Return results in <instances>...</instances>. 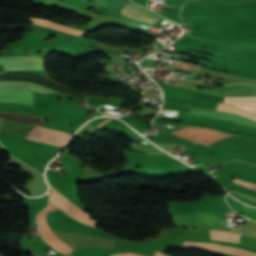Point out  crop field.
Returning a JSON list of instances; mask_svg holds the SVG:
<instances>
[{"mask_svg":"<svg viewBox=\"0 0 256 256\" xmlns=\"http://www.w3.org/2000/svg\"><path fill=\"white\" fill-rule=\"evenodd\" d=\"M233 183H236V184H239V185H242V186H245L247 188H250V189H253V190H256V185L252 184V183H248V182H244V181H240L238 179H234Z\"/></svg>","mask_w":256,"mask_h":256,"instance_id":"14","label":"crop field"},{"mask_svg":"<svg viewBox=\"0 0 256 256\" xmlns=\"http://www.w3.org/2000/svg\"><path fill=\"white\" fill-rule=\"evenodd\" d=\"M120 13H122L130 18L142 20V21L149 22L152 24L160 19L144 9L131 7V6H127V5L123 8V10Z\"/></svg>","mask_w":256,"mask_h":256,"instance_id":"9","label":"crop field"},{"mask_svg":"<svg viewBox=\"0 0 256 256\" xmlns=\"http://www.w3.org/2000/svg\"><path fill=\"white\" fill-rule=\"evenodd\" d=\"M29 19L31 20V22L33 24L46 26V27L53 28V29H56V30H60V31L70 33V34L79 35V34L84 32V31H81V30H78V29H75V28H72V27H69V26H66V25L58 24V23H55V22H52V21H49V20H42V19H39V18H29Z\"/></svg>","mask_w":256,"mask_h":256,"instance_id":"10","label":"crop field"},{"mask_svg":"<svg viewBox=\"0 0 256 256\" xmlns=\"http://www.w3.org/2000/svg\"><path fill=\"white\" fill-rule=\"evenodd\" d=\"M174 133L187 136L208 144H211L221 138L230 136V135L222 134L220 132L213 131V130L191 128V127H186Z\"/></svg>","mask_w":256,"mask_h":256,"instance_id":"7","label":"crop field"},{"mask_svg":"<svg viewBox=\"0 0 256 256\" xmlns=\"http://www.w3.org/2000/svg\"><path fill=\"white\" fill-rule=\"evenodd\" d=\"M108 119H109V118H108ZM108 119H106L105 121H107ZM105 121H103L101 124H103ZM101 124H99L98 126H100ZM98 126H97V127H98Z\"/></svg>","mask_w":256,"mask_h":256,"instance_id":"16","label":"crop field"},{"mask_svg":"<svg viewBox=\"0 0 256 256\" xmlns=\"http://www.w3.org/2000/svg\"><path fill=\"white\" fill-rule=\"evenodd\" d=\"M58 209L55 205H53L52 203L50 204V206L48 208H46L45 210H43L39 215H38V222L41 226V231H42V236L52 245H54L56 248H58L60 251L62 252H71V248L64 242H62L60 239H58L53 232L50 230L45 218H46V214L49 211H53ZM42 237V238H43ZM57 249V250H58Z\"/></svg>","mask_w":256,"mask_h":256,"instance_id":"6","label":"crop field"},{"mask_svg":"<svg viewBox=\"0 0 256 256\" xmlns=\"http://www.w3.org/2000/svg\"><path fill=\"white\" fill-rule=\"evenodd\" d=\"M211 239L238 243L239 235L230 232L210 230Z\"/></svg>","mask_w":256,"mask_h":256,"instance_id":"13","label":"crop field"},{"mask_svg":"<svg viewBox=\"0 0 256 256\" xmlns=\"http://www.w3.org/2000/svg\"><path fill=\"white\" fill-rule=\"evenodd\" d=\"M70 136L71 135L66 132L50 130L35 126L25 138L62 147L70 138Z\"/></svg>","mask_w":256,"mask_h":256,"instance_id":"2","label":"crop field"},{"mask_svg":"<svg viewBox=\"0 0 256 256\" xmlns=\"http://www.w3.org/2000/svg\"><path fill=\"white\" fill-rule=\"evenodd\" d=\"M162 119H164V118H162ZM181 119L183 121L209 123V124L217 125V126H220V127L236 130V131L256 134V129H254V128L247 127V126L240 125V124H236V123H232V122H229L227 120H218V119H213V118H208V117H203V116H198V115L179 112L178 120H181ZM173 120H176V119H173Z\"/></svg>","mask_w":256,"mask_h":256,"instance_id":"4","label":"crop field"},{"mask_svg":"<svg viewBox=\"0 0 256 256\" xmlns=\"http://www.w3.org/2000/svg\"><path fill=\"white\" fill-rule=\"evenodd\" d=\"M186 248H199L201 250L228 253V254H234L238 256H256V254L245 251V250L221 246V245L212 244V243L184 242L182 249H186Z\"/></svg>","mask_w":256,"mask_h":256,"instance_id":"8","label":"crop field"},{"mask_svg":"<svg viewBox=\"0 0 256 256\" xmlns=\"http://www.w3.org/2000/svg\"><path fill=\"white\" fill-rule=\"evenodd\" d=\"M197 91L225 97L224 102L234 104L246 110H256V86L234 85L225 88L197 89ZM216 110L234 112L256 121V115L236 107L219 103ZM256 114V111H251Z\"/></svg>","mask_w":256,"mask_h":256,"instance_id":"1","label":"crop field"},{"mask_svg":"<svg viewBox=\"0 0 256 256\" xmlns=\"http://www.w3.org/2000/svg\"><path fill=\"white\" fill-rule=\"evenodd\" d=\"M6 86H13V87H23L25 89L38 91L42 93L47 92H55L51 89H48L43 86H39L37 84L31 83V82H22V81H0V87H6Z\"/></svg>","mask_w":256,"mask_h":256,"instance_id":"11","label":"crop field"},{"mask_svg":"<svg viewBox=\"0 0 256 256\" xmlns=\"http://www.w3.org/2000/svg\"><path fill=\"white\" fill-rule=\"evenodd\" d=\"M155 256H168V255H165V254H162V253H159V252H155Z\"/></svg>","mask_w":256,"mask_h":256,"instance_id":"15","label":"crop field"},{"mask_svg":"<svg viewBox=\"0 0 256 256\" xmlns=\"http://www.w3.org/2000/svg\"><path fill=\"white\" fill-rule=\"evenodd\" d=\"M42 62L36 56L0 57V65ZM42 63L3 66L4 71L42 69Z\"/></svg>","mask_w":256,"mask_h":256,"instance_id":"5","label":"crop field"},{"mask_svg":"<svg viewBox=\"0 0 256 256\" xmlns=\"http://www.w3.org/2000/svg\"><path fill=\"white\" fill-rule=\"evenodd\" d=\"M50 201H52L54 204L59 206L61 209H63L65 212L71 215L73 218L87 225L95 226L97 224V222L88 219L87 218L89 216L88 214H86L83 210H81L79 207H77L75 204L69 201L66 197H64L54 188H52V191H51Z\"/></svg>","mask_w":256,"mask_h":256,"instance_id":"3","label":"crop field"},{"mask_svg":"<svg viewBox=\"0 0 256 256\" xmlns=\"http://www.w3.org/2000/svg\"><path fill=\"white\" fill-rule=\"evenodd\" d=\"M109 249L105 248H90L85 247L83 249L73 251V256H107Z\"/></svg>","mask_w":256,"mask_h":256,"instance_id":"12","label":"crop field"}]
</instances>
